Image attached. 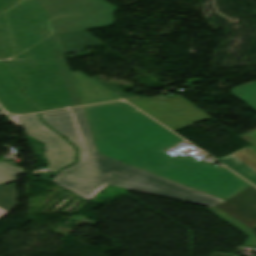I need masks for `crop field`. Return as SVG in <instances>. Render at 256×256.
I'll return each instance as SVG.
<instances>
[{
    "label": "crop field",
    "mask_w": 256,
    "mask_h": 256,
    "mask_svg": "<svg viewBox=\"0 0 256 256\" xmlns=\"http://www.w3.org/2000/svg\"><path fill=\"white\" fill-rule=\"evenodd\" d=\"M126 101L134 104L173 131L191 123L211 119L179 95L171 96L168 99L133 98Z\"/></svg>",
    "instance_id": "obj_2"
},
{
    "label": "crop field",
    "mask_w": 256,
    "mask_h": 256,
    "mask_svg": "<svg viewBox=\"0 0 256 256\" xmlns=\"http://www.w3.org/2000/svg\"><path fill=\"white\" fill-rule=\"evenodd\" d=\"M26 134L45 144L49 169L56 171L75 160V150L63 138L45 126L37 114L19 116Z\"/></svg>",
    "instance_id": "obj_3"
},
{
    "label": "crop field",
    "mask_w": 256,
    "mask_h": 256,
    "mask_svg": "<svg viewBox=\"0 0 256 256\" xmlns=\"http://www.w3.org/2000/svg\"><path fill=\"white\" fill-rule=\"evenodd\" d=\"M238 251H239V249H237V251L234 253L233 256H235ZM211 256H230V255H224V254L213 253Z\"/></svg>",
    "instance_id": "obj_11"
},
{
    "label": "crop field",
    "mask_w": 256,
    "mask_h": 256,
    "mask_svg": "<svg viewBox=\"0 0 256 256\" xmlns=\"http://www.w3.org/2000/svg\"><path fill=\"white\" fill-rule=\"evenodd\" d=\"M13 120H14L18 125H20V122H19V120H18L17 117L13 118Z\"/></svg>",
    "instance_id": "obj_12"
},
{
    "label": "crop field",
    "mask_w": 256,
    "mask_h": 256,
    "mask_svg": "<svg viewBox=\"0 0 256 256\" xmlns=\"http://www.w3.org/2000/svg\"><path fill=\"white\" fill-rule=\"evenodd\" d=\"M93 79L96 80V81H98V82L101 83L102 85L106 86L107 88H109L110 90H112L113 92H115L116 94L120 95V96L123 97V98L133 97V96H134V95H129V94H127V93H124V92H122V91H120V90H118V89H116V88H113V87H111V86H109V85H107V84H105V83L99 81V80H98L97 78H95V77H93Z\"/></svg>",
    "instance_id": "obj_9"
},
{
    "label": "crop field",
    "mask_w": 256,
    "mask_h": 256,
    "mask_svg": "<svg viewBox=\"0 0 256 256\" xmlns=\"http://www.w3.org/2000/svg\"><path fill=\"white\" fill-rule=\"evenodd\" d=\"M42 116L79 151L78 163L58 172L53 182L88 201L112 184L208 207L224 202L98 153L83 107L42 113Z\"/></svg>",
    "instance_id": "obj_1"
},
{
    "label": "crop field",
    "mask_w": 256,
    "mask_h": 256,
    "mask_svg": "<svg viewBox=\"0 0 256 256\" xmlns=\"http://www.w3.org/2000/svg\"><path fill=\"white\" fill-rule=\"evenodd\" d=\"M208 210L250 235L256 226V189L250 185Z\"/></svg>",
    "instance_id": "obj_4"
},
{
    "label": "crop field",
    "mask_w": 256,
    "mask_h": 256,
    "mask_svg": "<svg viewBox=\"0 0 256 256\" xmlns=\"http://www.w3.org/2000/svg\"><path fill=\"white\" fill-rule=\"evenodd\" d=\"M16 197V188L13 183L0 186V217L16 206Z\"/></svg>",
    "instance_id": "obj_7"
},
{
    "label": "crop field",
    "mask_w": 256,
    "mask_h": 256,
    "mask_svg": "<svg viewBox=\"0 0 256 256\" xmlns=\"http://www.w3.org/2000/svg\"><path fill=\"white\" fill-rule=\"evenodd\" d=\"M243 247H255L256 248V240L248 238Z\"/></svg>",
    "instance_id": "obj_10"
},
{
    "label": "crop field",
    "mask_w": 256,
    "mask_h": 256,
    "mask_svg": "<svg viewBox=\"0 0 256 256\" xmlns=\"http://www.w3.org/2000/svg\"><path fill=\"white\" fill-rule=\"evenodd\" d=\"M218 160L256 185V151L254 149L246 147Z\"/></svg>",
    "instance_id": "obj_5"
},
{
    "label": "crop field",
    "mask_w": 256,
    "mask_h": 256,
    "mask_svg": "<svg viewBox=\"0 0 256 256\" xmlns=\"http://www.w3.org/2000/svg\"><path fill=\"white\" fill-rule=\"evenodd\" d=\"M66 53L85 50L86 47L102 44L86 31L60 35Z\"/></svg>",
    "instance_id": "obj_6"
},
{
    "label": "crop field",
    "mask_w": 256,
    "mask_h": 256,
    "mask_svg": "<svg viewBox=\"0 0 256 256\" xmlns=\"http://www.w3.org/2000/svg\"><path fill=\"white\" fill-rule=\"evenodd\" d=\"M23 172L22 168H15L5 162L0 163V183L16 179V173Z\"/></svg>",
    "instance_id": "obj_8"
}]
</instances>
